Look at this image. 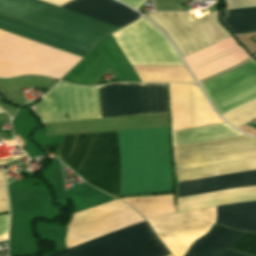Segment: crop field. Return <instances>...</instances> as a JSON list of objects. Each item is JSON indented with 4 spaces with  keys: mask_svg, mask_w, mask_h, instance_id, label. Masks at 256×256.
Instances as JSON below:
<instances>
[{
    "mask_svg": "<svg viewBox=\"0 0 256 256\" xmlns=\"http://www.w3.org/2000/svg\"><path fill=\"white\" fill-rule=\"evenodd\" d=\"M242 135L226 123L171 132L172 146Z\"/></svg>",
    "mask_w": 256,
    "mask_h": 256,
    "instance_id": "cbeb9de0",
    "label": "crop field"
},
{
    "mask_svg": "<svg viewBox=\"0 0 256 256\" xmlns=\"http://www.w3.org/2000/svg\"><path fill=\"white\" fill-rule=\"evenodd\" d=\"M0 22L88 52L118 30L114 26L42 2L0 0ZM0 23V31L81 59L86 53ZM0 32V77L41 74L60 79L79 60Z\"/></svg>",
    "mask_w": 256,
    "mask_h": 256,
    "instance_id": "8a807250",
    "label": "crop field"
},
{
    "mask_svg": "<svg viewBox=\"0 0 256 256\" xmlns=\"http://www.w3.org/2000/svg\"><path fill=\"white\" fill-rule=\"evenodd\" d=\"M141 82H194L185 66L132 65Z\"/></svg>",
    "mask_w": 256,
    "mask_h": 256,
    "instance_id": "5142ce71",
    "label": "crop field"
},
{
    "mask_svg": "<svg viewBox=\"0 0 256 256\" xmlns=\"http://www.w3.org/2000/svg\"><path fill=\"white\" fill-rule=\"evenodd\" d=\"M61 7L119 28L140 17L129 8L111 0H72Z\"/></svg>",
    "mask_w": 256,
    "mask_h": 256,
    "instance_id": "22f410ed",
    "label": "crop field"
},
{
    "mask_svg": "<svg viewBox=\"0 0 256 256\" xmlns=\"http://www.w3.org/2000/svg\"><path fill=\"white\" fill-rule=\"evenodd\" d=\"M111 67L118 82L138 81L131 65L122 55L111 35L99 42L61 80L79 85H91L102 73Z\"/></svg>",
    "mask_w": 256,
    "mask_h": 256,
    "instance_id": "d8731c3e",
    "label": "crop field"
},
{
    "mask_svg": "<svg viewBox=\"0 0 256 256\" xmlns=\"http://www.w3.org/2000/svg\"><path fill=\"white\" fill-rule=\"evenodd\" d=\"M168 251L146 222L49 256H164Z\"/></svg>",
    "mask_w": 256,
    "mask_h": 256,
    "instance_id": "f4fd0767",
    "label": "crop field"
},
{
    "mask_svg": "<svg viewBox=\"0 0 256 256\" xmlns=\"http://www.w3.org/2000/svg\"><path fill=\"white\" fill-rule=\"evenodd\" d=\"M112 37L130 64L183 65L168 41L142 17Z\"/></svg>",
    "mask_w": 256,
    "mask_h": 256,
    "instance_id": "e52e79f7",
    "label": "crop field"
},
{
    "mask_svg": "<svg viewBox=\"0 0 256 256\" xmlns=\"http://www.w3.org/2000/svg\"><path fill=\"white\" fill-rule=\"evenodd\" d=\"M220 115L256 98V62L202 84Z\"/></svg>",
    "mask_w": 256,
    "mask_h": 256,
    "instance_id": "5a996713",
    "label": "crop field"
},
{
    "mask_svg": "<svg viewBox=\"0 0 256 256\" xmlns=\"http://www.w3.org/2000/svg\"><path fill=\"white\" fill-rule=\"evenodd\" d=\"M0 112H3V111L0 109Z\"/></svg>",
    "mask_w": 256,
    "mask_h": 256,
    "instance_id": "00972430",
    "label": "crop field"
},
{
    "mask_svg": "<svg viewBox=\"0 0 256 256\" xmlns=\"http://www.w3.org/2000/svg\"><path fill=\"white\" fill-rule=\"evenodd\" d=\"M172 40L181 56L229 36L216 20V11L194 20L189 13L154 12L147 15Z\"/></svg>",
    "mask_w": 256,
    "mask_h": 256,
    "instance_id": "dd49c442",
    "label": "crop field"
},
{
    "mask_svg": "<svg viewBox=\"0 0 256 256\" xmlns=\"http://www.w3.org/2000/svg\"><path fill=\"white\" fill-rule=\"evenodd\" d=\"M256 16V7L228 10V19ZM224 24L233 34L256 31V17L232 19L222 18Z\"/></svg>",
    "mask_w": 256,
    "mask_h": 256,
    "instance_id": "733c2abd",
    "label": "crop field"
},
{
    "mask_svg": "<svg viewBox=\"0 0 256 256\" xmlns=\"http://www.w3.org/2000/svg\"><path fill=\"white\" fill-rule=\"evenodd\" d=\"M142 215L175 212L172 195L121 199Z\"/></svg>",
    "mask_w": 256,
    "mask_h": 256,
    "instance_id": "d9b57169",
    "label": "crop field"
},
{
    "mask_svg": "<svg viewBox=\"0 0 256 256\" xmlns=\"http://www.w3.org/2000/svg\"><path fill=\"white\" fill-rule=\"evenodd\" d=\"M237 37L242 46L253 56L256 54V44L254 41L250 40L245 34H240V35H234Z\"/></svg>",
    "mask_w": 256,
    "mask_h": 256,
    "instance_id": "bc2a9ffb",
    "label": "crop field"
},
{
    "mask_svg": "<svg viewBox=\"0 0 256 256\" xmlns=\"http://www.w3.org/2000/svg\"><path fill=\"white\" fill-rule=\"evenodd\" d=\"M254 186H256V169L178 182V199ZM255 191L256 187L208 194L203 196L180 199L178 200V204L203 201ZM255 200L256 192L203 202L178 205V212ZM212 210L256 216V201L212 208ZM212 210H210V212L213 223L222 224L229 228L256 232V217ZM210 212L208 209H205L181 213L148 215L144 216V218L151 226L154 233L156 235H160L211 228L213 223ZM207 231H209V229L160 235L157 237L171 252L172 256H183L187 248L192 244V242L205 234Z\"/></svg>",
    "mask_w": 256,
    "mask_h": 256,
    "instance_id": "34b2d1b8",
    "label": "crop field"
},
{
    "mask_svg": "<svg viewBox=\"0 0 256 256\" xmlns=\"http://www.w3.org/2000/svg\"><path fill=\"white\" fill-rule=\"evenodd\" d=\"M248 57L244 50L229 36L183 59L198 81L228 69Z\"/></svg>",
    "mask_w": 256,
    "mask_h": 256,
    "instance_id": "d1516ede",
    "label": "crop field"
},
{
    "mask_svg": "<svg viewBox=\"0 0 256 256\" xmlns=\"http://www.w3.org/2000/svg\"><path fill=\"white\" fill-rule=\"evenodd\" d=\"M222 116L235 127L252 121L256 119V99Z\"/></svg>",
    "mask_w": 256,
    "mask_h": 256,
    "instance_id": "4a817a6b",
    "label": "crop field"
},
{
    "mask_svg": "<svg viewBox=\"0 0 256 256\" xmlns=\"http://www.w3.org/2000/svg\"><path fill=\"white\" fill-rule=\"evenodd\" d=\"M135 9H137L141 4H143L146 0H119Z\"/></svg>",
    "mask_w": 256,
    "mask_h": 256,
    "instance_id": "92a150f3",
    "label": "crop field"
},
{
    "mask_svg": "<svg viewBox=\"0 0 256 256\" xmlns=\"http://www.w3.org/2000/svg\"><path fill=\"white\" fill-rule=\"evenodd\" d=\"M245 233L215 225L191 245L185 256H219ZM230 249L256 256V233L247 232ZM250 255L227 249L221 256Z\"/></svg>",
    "mask_w": 256,
    "mask_h": 256,
    "instance_id": "28ad6ade",
    "label": "crop field"
},
{
    "mask_svg": "<svg viewBox=\"0 0 256 256\" xmlns=\"http://www.w3.org/2000/svg\"><path fill=\"white\" fill-rule=\"evenodd\" d=\"M170 256V255H169Z\"/></svg>",
    "mask_w": 256,
    "mask_h": 256,
    "instance_id": "4177f3b9",
    "label": "crop field"
},
{
    "mask_svg": "<svg viewBox=\"0 0 256 256\" xmlns=\"http://www.w3.org/2000/svg\"><path fill=\"white\" fill-rule=\"evenodd\" d=\"M171 131L222 123L194 85L168 84Z\"/></svg>",
    "mask_w": 256,
    "mask_h": 256,
    "instance_id": "3316defc",
    "label": "crop field"
},
{
    "mask_svg": "<svg viewBox=\"0 0 256 256\" xmlns=\"http://www.w3.org/2000/svg\"><path fill=\"white\" fill-rule=\"evenodd\" d=\"M250 60H251V59H250ZM250 60H249V61H250ZM249 61H248V62H249ZM236 68H237V67H236ZM234 69H235V68H234ZM232 70H233V69H232ZM229 71H231V70H229ZM227 72H228V71H227ZM225 73H226V72H225ZM222 74H224V73H222ZM222 74H220V75H222ZM218 76H219V75H218ZM216 77H217V76H216ZM213 78H215V77H213ZM213 78H211V79H213ZM211 79H209V80H211ZM206 81H208V80H206ZM206 81H204V82H206ZM204 82H202V83H204ZM202 83H201V84H202Z\"/></svg>",
    "mask_w": 256,
    "mask_h": 256,
    "instance_id": "dafd665d",
    "label": "crop field"
},
{
    "mask_svg": "<svg viewBox=\"0 0 256 256\" xmlns=\"http://www.w3.org/2000/svg\"><path fill=\"white\" fill-rule=\"evenodd\" d=\"M251 58V57H250ZM235 67V66H234ZM233 68V67H232ZM214 76V75H213ZM209 78V77H208ZM206 79V78H205Z\"/></svg>",
    "mask_w": 256,
    "mask_h": 256,
    "instance_id": "a9b5d70f",
    "label": "crop field"
},
{
    "mask_svg": "<svg viewBox=\"0 0 256 256\" xmlns=\"http://www.w3.org/2000/svg\"><path fill=\"white\" fill-rule=\"evenodd\" d=\"M9 214L0 216V235L8 233ZM8 234L0 236V241L7 239Z\"/></svg>",
    "mask_w": 256,
    "mask_h": 256,
    "instance_id": "214f88e0",
    "label": "crop field"
},
{
    "mask_svg": "<svg viewBox=\"0 0 256 256\" xmlns=\"http://www.w3.org/2000/svg\"><path fill=\"white\" fill-rule=\"evenodd\" d=\"M115 141L118 196L170 191L166 127L115 131ZM56 157L117 196L114 131L64 136Z\"/></svg>",
    "mask_w": 256,
    "mask_h": 256,
    "instance_id": "ac0d7876",
    "label": "crop field"
},
{
    "mask_svg": "<svg viewBox=\"0 0 256 256\" xmlns=\"http://www.w3.org/2000/svg\"><path fill=\"white\" fill-rule=\"evenodd\" d=\"M101 118L168 112L165 84L121 83L99 86ZM98 87L59 82L41 97V123L100 118Z\"/></svg>",
    "mask_w": 256,
    "mask_h": 256,
    "instance_id": "412701ff",
    "label": "crop field"
}]
</instances>
